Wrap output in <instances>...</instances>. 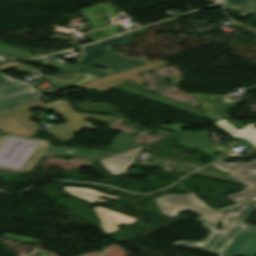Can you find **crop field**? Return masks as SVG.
<instances>
[{"label":"crop field","mask_w":256,"mask_h":256,"mask_svg":"<svg viewBox=\"0 0 256 256\" xmlns=\"http://www.w3.org/2000/svg\"><path fill=\"white\" fill-rule=\"evenodd\" d=\"M255 209L256 197L204 214L196 220L211 231L203 241L172 245L202 248L218 256H256V228L244 224ZM217 220L223 221V230H215Z\"/></svg>","instance_id":"obj_1"},{"label":"crop field","mask_w":256,"mask_h":256,"mask_svg":"<svg viewBox=\"0 0 256 256\" xmlns=\"http://www.w3.org/2000/svg\"><path fill=\"white\" fill-rule=\"evenodd\" d=\"M81 52L82 55L79 57V60L75 66L82 70L85 68H89L95 63L101 61L103 58L114 54L111 49L98 43L81 48ZM145 63L148 62L145 60L130 59L129 57L121 53H116L106 61L100 63L107 66L108 70L105 71L102 69H89L86 72L97 78H100Z\"/></svg>","instance_id":"obj_2"},{"label":"crop field","mask_w":256,"mask_h":256,"mask_svg":"<svg viewBox=\"0 0 256 256\" xmlns=\"http://www.w3.org/2000/svg\"><path fill=\"white\" fill-rule=\"evenodd\" d=\"M46 108L56 111L67 122L55 127L44 128L45 131L50 133L55 138L65 142L73 139L74 133L82 128L95 129L96 127L85 122L84 119L93 118L100 122L112 123L118 116L109 115H94V114H81L73 111L71 102L66 99L47 103Z\"/></svg>","instance_id":"obj_3"},{"label":"crop field","mask_w":256,"mask_h":256,"mask_svg":"<svg viewBox=\"0 0 256 256\" xmlns=\"http://www.w3.org/2000/svg\"><path fill=\"white\" fill-rule=\"evenodd\" d=\"M42 103L43 101L37 98L14 107L0 110V132L32 137L39 130V127L29 120L35 118V116L28 110L41 107Z\"/></svg>","instance_id":"obj_4"},{"label":"crop field","mask_w":256,"mask_h":256,"mask_svg":"<svg viewBox=\"0 0 256 256\" xmlns=\"http://www.w3.org/2000/svg\"><path fill=\"white\" fill-rule=\"evenodd\" d=\"M212 165L221 171L230 172V177L242 184H246L242 191L226 195L228 199L237 203L256 196V160L250 164L220 161Z\"/></svg>","instance_id":"obj_5"},{"label":"crop field","mask_w":256,"mask_h":256,"mask_svg":"<svg viewBox=\"0 0 256 256\" xmlns=\"http://www.w3.org/2000/svg\"><path fill=\"white\" fill-rule=\"evenodd\" d=\"M165 65L169 64L163 60H159L129 70H125L113 75H109L77 87L85 89H96L100 92H104L113 89V87L119 85V83L128 81H135L137 85L140 86L146 84V81L142 78V76L139 73L149 71Z\"/></svg>","instance_id":"obj_6"},{"label":"crop field","mask_w":256,"mask_h":256,"mask_svg":"<svg viewBox=\"0 0 256 256\" xmlns=\"http://www.w3.org/2000/svg\"><path fill=\"white\" fill-rule=\"evenodd\" d=\"M43 96L31 83L9 78L0 72V109Z\"/></svg>","instance_id":"obj_7"},{"label":"crop field","mask_w":256,"mask_h":256,"mask_svg":"<svg viewBox=\"0 0 256 256\" xmlns=\"http://www.w3.org/2000/svg\"><path fill=\"white\" fill-rule=\"evenodd\" d=\"M154 200L161 213L169 217L178 215L177 212L185 210H192L200 215L214 211L202 203L193 193L186 195L171 194Z\"/></svg>","instance_id":"obj_8"},{"label":"crop field","mask_w":256,"mask_h":256,"mask_svg":"<svg viewBox=\"0 0 256 256\" xmlns=\"http://www.w3.org/2000/svg\"><path fill=\"white\" fill-rule=\"evenodd\" d=\"M133 135L127 133H119L112 141L110 147L105 150H97L95 148L89 149L95 157L99 160L140 147V145L133 141Z\"/></svg>","instance_id":"obj_9"},{"label":"crop field","mask_w":256,"mask_h":256,"mask_svg":"<svg viewBox=\"0 0 256 256\" xmlns=\"http://www.w3.org/2000/svg\"><path fill=\"white\" fill-rule=\"evenodd\" d=\"M94 210L100 219V227L104 234H110L121 229L116 225L118 223L131 224L137 221L136 218L124 216L102 206L95 207Z\"/></svg>","instance_id":"obj_10"},{"label":"crop field","mask_w":256,"mask_h":256,"mask_svg":"<svg viewBox=\"0 0 256 256\" xmlns=\"http://www.w3.org/2000/svg\"><path fill=\"white\" fill-rule=\"evenodd\" d=\"M141 147L101 160L100 162L114 175L125 173L128 166L132 164Z\"/></svg>","instance_id":"obj_11"},{"label":"crop field","mask_w":256,"mask_h":256,"mask_svg":"<svg viewBox=\"0 0 256 256\" xmlns=\"http://www.w3.org/2000/svg\"><path fill=\"white\" fill-rule=\"evenodd\" d=\"M214 124L230 134L233 138L239 137L248 140L254 146H256V128H252L255 124H249L242 130L235 129L231 124H229L226 119L218 120Z\"/></svg>","instance_id":"obj_12"},{"label":"crop field","mask_w":256,"mask_h":256,"mask_svg":"<svg viewBox=\"0 0 256 256\" xmlns=\"http://www.w3.org/2000/svg\"><path fill=\"white\" fill-rule=\"evenodd\" d=\"M196 99L202 106L203 111L213 120H218L224 118L221 112L212 104V100L222 96V95H209V94H194Z\"/></svg>","instance_id":"obj_13"},{"label":"crop field","mask_w":256,"mask_h":256,"mask_svg":"<svg viewBox=\"0 0 256 256\" xmlns=\"http://www.w3.org/2000/svg\"><path fill=\"white\" fill-rule=\"evenodd\" d=\"M62 188L65 189L70 194L75 195L79 198H82V199L88 201L89 204L105 201V200L96 198L97 195L111 197V198H115V199L120 198V197H116V196H109V195L97 192L95 190H92V189H84V188H78V187H62ZM76 192H79V193L77 194ZM96 199H98L97 202H95Z\"/></svg>","instance_id":"obj_14"},{"label":"crop field","mask_w":256,"mask_h":256,"mask_svg":"<svg viewBox=\"0 0 256 256\" xmlns=\"http://www.w3.org/2000/svg\"><path fill=\"white\" fill-rule=\"evenodd\" d=\"M223 6L227 8L239 9L248 13H256L253 0H226Z\"/></svg>","instance_id":"obj_15"},{"label":"crop field","mask_w":256,"mask_h":256,"mask_svg":"<svg viewBox=\"0 0 256 256\" xmlns=\"http://www.w3.org/2000/svg\"><path fill=\"white\" fill-rule=\"evenodd\" d=\"M77 108H79L83 111H97V112H105V113H117V112L111 110L107 103H92V104H89L87 101H85V102H82V103L78 104Z\"/></svg>","instance_id":"obj_16"},{"label":"crop field","mask_w":256,"mask_h":256,"mask_svg":"<svg viewBox=\"0 0 256 256\" xmlns=\"http://www.w3.org/2000/svg\"><path fill=\"white\" fill-rule=\"evenodd\" d=\"M130 42H131V39H129L123 35H120V36H116L114 38H111V39H108L105 41H101L99 43L110 48L111 46H114V45L128 44Z\"/></svg>","instance_id":"obj_17"},{"label":"crop field","mask_w":256,"mask_h":256,"mask_svg":"<svg viewBox=\"0 0 256 256\" xmlns=\"http://www.w3.org/2000/svg\"><path fill=\"white\" fill-rule=\"evenodd\" d=\"M0 54L7 56V57H13V58H29V57H31V55H27L25 53L13 52L10 50H6L2 47H0Z\"/></svg>","instance_id":"obj_18"},{"label":"crop field","mask_w":256,"mask_h":256,"mask_svg":"<svg viewBox=\"0 0 256 256\" xmlns=\"http://www.w3.org/2000/svg\"><path fill=\"white\" fill-rule=\"evenodd\" d=\"M98 7L108 18L116 15L115 10L110 6L105 7L103 4H101V5H98Z\"/></svg>","instance_id":"obj_19"},{"label":"crop field","mask_w":256,"mask_h":256,"mask_svg":"<svg viewBox=\"0 0 256 256\" xmlns=\"http://www.w3.org/2000/svg\"><path fill=\"white\" fill-rule=\"evenodd\" d=\"M156 101L162 102V103H165V104H168V105H172V106H175V105L180 103V102H177V101L165 98V97H162V98H160V99H158Z\"/></svg>","instance_id":"obj_20"},{"label":"crop field","mask_w":256,"mask_h":256,"mask_svg":"<svg viewBox=\"0 0 256 256\" xmlns=\"http://www.w3.org/2000/svg\"><path fill=\"white\" fill-rule=\"evenodd\" d=\"M254 3H255V7H256V0H254Z\"/></svg>","instance_id":"obj_21"},{"label":"crop field","mask_w":256,"mask_h":256,"mask_svg":"<svg viewBox=\"0 0 256 256\" xmlns=\"http://www.w3.org/2000/svg\"><path fill=\"white\" fill-rule=\"evenodd\" d=\"M2 61H5V60H0V62H2Z\"/></svg>","instance_id":"obj_22"}]
</instances>
